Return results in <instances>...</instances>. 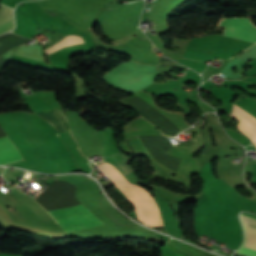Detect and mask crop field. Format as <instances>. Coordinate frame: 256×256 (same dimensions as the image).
I'll use <instances>...</instances> for the list:
<instances>
[{
    "instance_id": "f4fd0767",
    "label": "crop field",
    "mask_w": 256,
    "mask_h": 256,
    "mask_svg": "<svg viewBox=\"0 0 256 256\" xmlns=\"http://www.w3.org/2000/svg\"><path fill=\"white\" fill-rule=\"evenodd\" d=\"M37 115L53 125L58 132L69 131L65 115L56 108L37 113Z\"/></svg>"
},
{
    "instance_id": "e52e79f7",
    "label": "crop field",
    "mask_w": 256,
    "mask_h": 256,
    "mask_svg": "<svg viewBox=\"0 0 256 256\" xmlns=\"http://www.w3.org/2000/svg\"><path fill=\"white\" fill-rule=\"evenodd\" d=\"M231 115L239 120V124L237 125L238 129L246 134L256 146V122L243 116L234 109Z\"/></svg>"
},
{
    "instance_id": "d8731c3e",
    "label": "crop field",
    "mask_w": 256,
    "mask_h": 256,
    "mask_svg": "<svg viewBox=\"0 0 256 256\" xmlns=\"http://www.w3.org/2000/svg\"><path fill=\"white\" fill-rule=\"evenodd\" d=\"M11 20H13V10L10 8H7L5 6H1V8H0V26L4 25L5 23H7ZM12 29H13V21L0 27V34L10 31Z\"/></svg>"
},
{
    "instance_id": "8a807250",
    "label": "crop field",
    "mask_w": 256,
    "mask_h": 256,
    "mask_svg": "<svg viewBox=\"0 0 256 256\" xmlns=\"http://www.w3.org/2000/svg\"><path fill=\"white\" fill-rule=\"evenodd\" d=\"M98 167L134 205L139 221L149 226H163L160 211L147 191L130 184L108 163L100 164Z\"/></svg>"
},
{
    "instance_id": "34b2d1b8",
    "label": "crop field",
    "mask_w": 256,
    "mask_h": 256,
    "mask_svg": "<svg viewBox=\"0 0 256 256\" xmlns=\"http://www.w3.org/2000/svg\"><path fill=\"white\" fill-rule=\"evenodd\" d=\"M220 20L218 26H220ZM221 26H225L224 35L249 41L256 42V28L250 24L248 19L244 18H234V19H224Z\"/></svg>"
},
{
    "instance_id": "dd49c442",
    "label": "crop field",
    "mask_w": 256,
    "mask_h": 256,
    "mask_svg": "<svg viewBox=\"0 0 256 256\" xmlns=\"http://www.w3.org/2000/svg\"><path fill=\"white\" fill-rule=\"evenodd\" d=\"M23 160L8 137L0 139V164Z\"/></svg>"
},
{
    "instance_id": "412701ff",
    "label": "crop field",
    "mask_w": 256,
    "mask_h": 256,
    "mask_svg": "<svg viewBox=\"0 0 256 256\" xmlns=\"http://www.w3.org/2000/svg\"><path fill=\"white\" fill-rule=\"evenodd\" d=\"M239 219L242 225L256 228L255 218L240 214ZM247 226H243L245 240L243 246L237 252L249 256H256V229Z\"/></svg>"
},
{
    "instance_id": "5a996713",
    "label": "crop field",
    "mask_w": 256,
    "mask_h": 256,
    "mask_svg": "<svg viewBox=\"0 0 256 256\" xmlns=\"http://www.w3.org/2000/svg\"><path fill=\"white\" fill-rule=\"evenodd\" d=\"M83 41L80 37H77V36H73V35H70L66 38H64L62 41H60L59 43L45 49V52L47 53V55L61 49V48H64L66 46H70V45H77V44H82Z\"/></svg>"
},
{
    "instance_id": "ac0d7876",
    "label": "crop field",
    "mask_w": 256,
    "mask_h": 256,
    "mask_svg": "<svg viewBox=\"0 0 256 256\" xmlns=\"http://www.w3.org/2000/svg\"><path fill=\"white\" fill-rule=\"evenodd\" d=\"M54 219L88 212L81 204L48 211ZM65 232L91 228L103 223L91 212L56 220Z\"/></svg>"
}]
</instances>
